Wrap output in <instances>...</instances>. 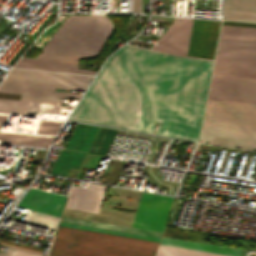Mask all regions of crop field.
I'll return each mask as SVG.
<instances>
[{"label":"crop field","instance_id":"crop-field-24","mask_svg":"<svg viewBox=\"0 0 256 256\" xmlns=\"http://www.w3.org/2000/svg\"><path fill=\"white\" fill-rule=\"evenodd\" d=\"M43 256H45V255H43Z\"/></svg>","mask_w":256,"mask_h":256},{"label":"crop field","instance_id":"crop-field-14","mask_svg":"<svg viewBox=\"0 0 256 256\" xmlns=\"http://www.w3.org/2000/svg\"><path fill=\"white\" fill-rule=\"evenodd\" d=\"M60 222L101 228V229H108V230H114V231H120V232H127V233H133V234H139V235H145V236H151V237H157V238H160L162 234L159 232L126 228V227H120V226H114V225H108V224H102V223H96V222H90V221L66 218V217H62Z\"/></svg>","mask_w":256,"mask_h":256},{"label":"crop field","instance_id":"crop-field-1","mask_svg":"<svg viewBox=\"0 0 256 256\" xmlns=\"http://www.w3.org/2000/svg\"><path fill=\"white\" fill-rule=\"evenodd\" d=\"M212 63L125 45L69 118L197 141Z\"/></svg>","mask_w":256,"mask_h":256},{"label":"crop field","instance_id":"crop-field-10","mask_svg":"<svg viewBox=\"0 0 256 256\" xmlns=\"http://www.w3.org/2000/svg\"><path fill=\"white\" fill-rule=\"evenodd\" d=\"M223 19L256 22V0H224Z\"/></svg>","mask_w":256,"mask_h":256},{"label":"crop field","instance_id":"crop-field-18","mask_svg":"<svg viewBox=\"0 0 256 256\" xmlns=\"http://www.w3.org/2000/svg\"><path fill=\"white\" fill-rule=\"evenodd\" d=\"M156 254L167 256H226L221 254L160 245Z\"/></svg>","mask_w":256,"mask_h":256},{"label":"crop field","instance_id":"crop-field-6","mask_svg":"<svg viewBox=\"0 0 256 256\" xmlns=\"http://www.w3.org/2000/svg\"><path fill=\"white\" fill-rule=\"evenodd\" d=\"M173 197L142 193L131 227L162 232Z\"/></svg>","mask_w":256,"mask_h":256},{"label":"crop field","instance_id":"crop-field-7","mask_svg":"<svg viewBox=\"0 0 256 256\" xmlns=\"http://www.w3.org/2000/svg\"><path fill=\"white\" fill-rule=\"evenodd\" d=\"M25 196V195H24ZM66 197L54 193L30 188L26 196L18 204L19 207L59 216Z\"/></svg>","mask_w":256,"mask_h":256},{"label":"crop field","instance_id":"crop-field-23","mask_svg":"<svg viewBox=\"0 0 256 256\" xmlns=\"http://www.w3.org/2000/svg\"><path fill=\"white\" fill-rule=\"evenodd\" d=\"M10 249H11V248H9V250H8V252L6 253V255H5V256H7V255H8V253H9ZM0 256H2V255H0Z\"/></svg>","mask_w":256,"mask_h":256},{"label":"crop field","instance_id":"crop-field-11","mask_svg":"<svg viewBox=\"0 0 256 256\" xmlns=\"http://www.w3.org/2000/svg\"><path fill=\"white\" fill-rule=\"evenodd\" d=\"M19 61L20 62H17L15 66L79 72V73H89V74L96 73V71H92V70L77 69L78 63H74V62L41 60V59H33V58H26V57H21Z\"/></svg>","mask_w":256,"mask_h":256},{"label":"crop field","instance_id":"crop-field-8","mask_svg":"<svg viewBox=\"0 0 256 256\" xmlns=\"http://www.w3.org/2000/svg\"><path fill=\"white\" fill-rule=\"evenodd\" d=\"M106 186L90 184L88 189L71 187L67 208L98 213Z\"/></svg>","mask_w":256,"mask_h":256},{"label":"crop field","instance_id":"crop-field-15","mask_svg":"<svg viewBox=\"0 0 256 256\" xmlns=\"http://www.w3.org/2000/svg\"><path fill=\"white\" fill-rule=\"evenodd\" d=\"M76 155L77 152L63 149L51 171V174L66 176ZM84 155L85 154L79 153L72 167L78 168Z\"/></svg>","mask_w":256,"mask_h":256},{"label":"crop field","instance_id":"crop-field-25","mask_svg":"<svg viewBox=\"0 0 256 256\" xmlns=\"http://www.w3.org/2000/svg\"><path fill=\"white\" fill-rule=\"evenodd\" d=\"M156 256H158V255H156Z\"/></svg>","mask_w":256,"mask_h":256},{"label":"crop field","instance_id":"crop-field-4","mask_svg":"<svg viewBox=\"0 0 256 256\" xmlns=\"http://www.w3.org/2000/svg\"><path fill=\"white\" fill-rule=\"evenodd\" d=\"M112 29V21L104 15H70L36 58L77 62L80 58L96 56Z\"/></svg>","mask_w":256,"mask_h":256},{"label":"crop field","instance_id":"crop-field-9","mask_svg":"<svg viewBox=\"0 0 256 256\" xmlns=\"http://www.w3.org/2000/svg\"><path fill=\"white\" fill-rule=\"evenodd\" d=\"M211 23H212V21L194 19L191 40H190V46H189L187 55L196 56V57H198V56L205 57L206 56V50H207L208 39H209V34H210V29H211ZM214 24H215V21H214ZM214 24H213V29H214ZM216 24H217V21H216ZM216 24H215V29H214V35H215V30H216ZM219 26H220V22L218 21L214 46H213L214 35H213V29H212L213 40H212V35H211L212 45H211V40H210V45H211V51H212V46H213V51H212V57H211V51H210V45H209V51H210V56H209V51H208L209 59H210V57H211V59H213V57H214ZM208 56H207V58H208Z\"/></svg>","mask_w":256,"mask_h":256},{"label":"crop field","instance_id":"crop-field-19","mask_svg":"<svg viewBox=\"0 0 256 256\" xmlns=\"http://www.w3.org/2000/svg\"><path fill=\"white\" fill-rule=\"evenodd\" d=\"M58 219L57 217L33 212L29 214L25 222L55 229Z\"/></svg>","mask_w":256,"mask_h":256},{"label":"crop field","instance_id":"crop-field-16","mask_svg":"<svg viewBox=\"0 0 256 256\" xmlns=\"http://www.w3.org/2000/svg\"><path fill=\"white\" fill-rule=\"evenodd\" d=\"M117 130L101 127L89 152L105 155Z\"/></svg>","mask_w":256,"mask_h":256},{"label":"crop field","instance_id":"crop-field-5","mask_svg":"<svg viewBox=\"0 0 256 256\" xmlns=\"http://www.w3.org/2000/svg\"><path fill=\"white\" fill-rule=\"evenodd\" d=\"M158 242L88 232L57 229L49 255L52 256H154Z\"/></svg>","mask_w":256,"mask_h":256},{"label":"crop field","instance_id":"crop-field-3","mask_svg":"<svg viewBox=\"0 0 256 256\" xmlns=\"http://www.w3.org/2000/svg\"><path fill=\"white\" fill-rule=\"evenodd\" d=\"M199 142L256 151V104L208 100Z\"/></svg>","mask_w":256,"mask_h":256},{"label":"crop field","instance_id":"crop-field-22","mask_svg":"<svg viewBox=\"0 0 256 256\" xmlns=\"http://www.w3.org/2000/svg\"><path fill=\"white\" fill-rule=\"evenodd\" d=\"M229 22H230V21H229ZM229 22H223V23H228V24H240V25H253V24H254V23H253V24H241L242 22H241V23H229ZM253 26H256V25H253Z\"/></svg>","mask_w":256,"mask_h":256},{"label":"crop field","instance_id":"crop-field-17","mask_svg":"<svg viewBox=\"0 0 256 256\" xmlns=\"http://www.w3.org/2000/svg\"><path fill=\"white\" fill-rule=\"evenodd\" d=\"M192 22L193 19L181 18L175 53L186 55Z\"/></svg>","mask_w":256,"mask_h":256},{"label":"crop field","instance_id":"crop-field-2","mask_svg":"<svg viewBox=\"0 0 256 256\" xmlns=\"http://www.w3.org/2000/svg\"><path fill=\"white\" fill-rule=\"evenodd\" d=\"M33 78L35 79L33 81ZM91 76L49 73L41 71L12 69L3 82L48 86L71 90H84ZM1 92L41 95L50 97H60L78 100L81 94L55 92V89L23 86V85H0ZM41 96L22 95L21 101L0 99V112L32 115L34 109L59 112L64 99L49 98Z\"/></svg>","mask_w":256,"mask_h":256},{"label":"crop field","instance_id":"crop-field-20","mask_svg":"<svg viewBox=\"0 0 256 256\" xmlns=\"http://www.w3.org/2000/svg\"><path fill=\"white\" fill-rule=\"evenodd\" d=\"M59 225L70 227V228L95 231V232H101V233H107V234H113V235H120V236L132 237V238H139V239H145V240H151V241H159L160 240L157 238H151V237H145V236H139V235H133V234H127V233H120V232H114V231H108V230H101V229H95V228H88V227H82V226H76V225H69V224H63V223H60Z\"/></svg>","mask_w":256,"mask_h":256},{"label":"crop field","instance_id":"crop-field-13","mask_svg":"<svg viewBox=\"0 0 256 256\" xmlns=\"http://www.w3.org/2000/svg\"><path fill=\"white\" fill-rule=\"evenodd\" d=\"M89 128V125L78 123L66 147L79 150ZM98 128L99 127L91 126L80 150L87 152Z\"/></svg>","mask_w":256,"mask_h":256},{"label":"crop field","instance_id":"crop-field-12","mask_svg":"<svg viewBox=\"0 0 256 256\" xmlns=\"http://www.w3.org/2000/svg\"><path fill=\"white\" fill-rule=\"evenodd\" d=\"M160 244L197 249V250H203V251H209V252H215V253H221V254H227V255H233V256H240V252H241V250L239 249L202 244V243H196V242H190V241H184V240H178V239H172V238H166V237L162 238V241Z\"/></svg>","mask_w":256,"mask_h":256},{"label":"crop field","instance_id":"crop-field-21","mask_svg":"<svg viewBox=\"0 0 256 256\" xmlns=\"http://www.w3.org/2000/svg\"><path fill=\"white\" fill-rule=\"evenodd\" d=\"M9 256H42V255L26 253V252H22V251L12 249Z\"/></svg>","mask_w":256,"mask_h":256}]
</instances>
